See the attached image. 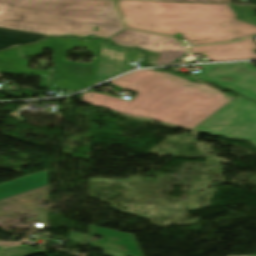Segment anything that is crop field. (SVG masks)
Wrapping results in <instances>:
<instances>
[{
    "label": "crop field",
    "instance_id": "obj_6",
    "mask_svg": "<svg viewBox=\"0 0 256 256\" xmlns=\"http://www.w3.org/2000/svg\"><path fill=\"white\" fill-rule=\"evenodd\" d=\"M224 77L233 78L234 81H223ZM196 78L220 84L256 100V68L248 62L203 66Z\"/></svg>",
    "mask_w": 256,
    "mask_h": 256
},
{
    "label": "crop field",
    "instance_id": "obj_3",
    "mask_svg": "<svg viewBox=\"0 0 256 256\" xmlns=\"http://www.w3.org/2000/svg\"><path fill=\"white\" fill-rule=\"evenodd\" d=\"M99 26V32L93 31ZM0 27L109 38L124 29L111 0H0Z\"/></svg>",
    "mask_w": 256,
    "mask_h": 256
},
{
    "label": "crop field",
    "instance_id": "obj_16",
    "mask_svg": "<svg viewBox=\"0 0 256 256\" xmlns=\"http://www.w3.org/2000/svg\"><path fill=\"white\" fill-rule=\"evenodd\" d=\"M21 245L20 242H0V249L6 248V247H12V246H18Z\"/></svg>",
    "mask_w": 256,
    "mask_h": 256
},
{
    "label": "crop field",
    "instance_id": "obj_9",
    "mask_svg": "<svg viewBox=\"0 0 256 256\" xmlns=\"http://www.w3.org/2000/svg\"><path fill=\"white\" fill-rule=\"evenodd\" d=\"M124 55L123 48L102 45L97 82L121 73Z\"/></svg>",
    "mask_w": 256,
    "mask_h": 256
},
{
    "label": "crop field",
    "instance_id": "obj_12",
    "mask_svg": "<svg viewBox=\"0 0 256 256\" xmlns=\"http://www.w3.org/2000/svg\"><path fill=\"white\" fill-rule=\"evenodd\" d=\"M49 37H53V36L0 28V50L9 48L15 45H25V44L35 43L40 39L49 38Z\"/></svg>",
    "mask_w": 256,
    "mask_h": 256
},
{
    "label": "crop field",
    "instance_id": "obj_8",
    "mask_svg": "<svg viewBox=\"0 0 256 256\" xmlns=\"http://www.w3.org/2000/svg\"><path fill=\"white\" fill-rule=\"evenodd\" d=\"M97 235L101 240L91 242V237ZM89 245L128 256H143L133 235L110 229L89 226Z\"/></svg>",
    "mask_w": 256,
    "mask_h": 256
},
{
    "label": "crop field",
    "instance_id": "obj_2",
    "mask_svg": "<svg viewBox=\"0 0 256 256\" xmlns=\"http://www.w3.org/2000/svg\"><path fill=\"white\" fill-rule=\"evenodd\" d=\"M110 83L137 91L138 95L127 102L87 92L83 94L82 101L190 129L228 102L217 90L168 72L142 70Z\"/></svg>",
    "mask_w": 256,
    "mask_h": 256
},
{
    "label": "crop field",
    "instance_id": "obj_10",
    "mask_svg": "<svg viewBox=\"0 0 256 256\" xmlns=\"http://www.w3.org/2000/svg\"><path fill=\"white\" fill-rule=\"evenodd\" d=\"M46 185L47 171L0 185V201Z\"/></svg>",
    "mask_w": 256,
    "mask_h": 256
},
{
    "label": "crop field",
    "instance_id": "obj_17",
    "mask_svg": "<svg viewBox=\"0 0 256 256\" xmlns=\"http://www.w3.org/2000/svg\"><path fill=\"white\" fill-rule=\"evenodd\" d=\"M47 77H41L40 87H46Z\"/></svg>",
    "mask_w": 256,
    "mask_h": 256
},
{
    "label": "crop field",
    "instance_id": "obj_4",
    "mask_svg": "<svg viewBox=\"0 0 256 256\" xmlns=\"http://www.w3.org/2000/svg\"><path fill=\"white\" fill-rule=\"evenodd\" d=\"M78 46H86L96 57L91 63H78L65 59L66 52ZM20 47V46H19ZM25 57L41 55L43 48L54 50L56 63L54 77L49 86L76 91L96 83L101 44L76 39L53 38L39 43L20 47Z\"/></svg>",
    "mask_w": 256,
    "mask_h": 256
},
{
    "label": "crop field",
    "instance_id": "obj_15",
    "mask_svg": "<svg viewBox=\"0 0 256 256\" xmlns=\"http://www.w3.org/2000/svg\"><path fill=\"white\" fill-rule=\"evenodd\" d=\"M157 1L207 2V3H221V4L230 3V0H157Z\"/></svg>",
    "mask_w": 256,
    "mask_h": 256
},
{
    "label": "crop field",
    "instance_id": "obj_5",
    "mask_svg": "<svg viewBox=\"0 0 256 256\" xmlns=\"http://www.w3.org/2000/svg\"><path fill=\"white\" fill-rule=\"evenodd\" d=\"M196 130L256 145V103L239 96Z\"/></svg>",
    "mask_w": 256,
    "mask_h": 256
},
{
    "label": "crop field",
    "instance_id": "obj_7",
    "mask_svg": "<svg viewBox=\"0 0 256 256\" xmlns=\"http://www.w3.org/2000/svg\"><path fill=\"white\" fill-rule=\"evenodd\" d=\"M126 30V29H125ZM117 45L160 52L155 64H168L187 53L173 38L126 30L112 38Z\"/></svg>",
    "mask_w": 256,
    "mask_h": 256
},
{
    "label": "crop field",
    "instance_id": "obj_13",
    "mask_svg": "<svg viewBox=\"0 0 256 256\" xmlns=\"http://www.w3.org/2000/svg\"><path fill=\"white\" fill-rule=\"evenodd\" d=\"M35 253H40V251H38L28 245L0 250V256H26V255H31V254H35Z\"/></svg>",
    "mask_w": 256,
    "mask_h": 256
},
{
    "label": "crop field",
    "instance_id": "obj_1",
    "mask_svg": "<svg viewBox=\"0 0 256 256\" xmlns=\"http://www.w3.org/2000/svg\"><path fill=\"white\" fill-rule=\"evenodd\" d=\"M128 28L182 36L193 45L230 41L256 34V26L236 20L229 5L115 0ZM237 32L238 34H235ZM196 40V41H193ZM252 39L189 48L212 61L256 58Z\"/></svg>",
    "mask_w": 256,
    "mask_h": 256
},
{
    "label": "crop field",
    "instance_id": "obj_11",
    "mask_svg": "<svg viewBox=\"0 0 256 256\" xmlns=\"http://www.w3.org/2000/svg\"><path fill=\"white\" fill-rule=\"evenodd\" d=\"M0 72L48 76L49 71L41 72L27 68V59L20 56L18 48L0 52Z\"/></svg>",
    "mask_w": 256,
    "mask_h": 256
},
{
    "label": "crop field",
    "instance_id": "obj_14",
    "mask_svg": "<svg viewBox=\"0 0 256 256\" xmlns=\"http://www.w3.org/2000/svg\"><path fill=\"white\" fill-rule=\"evenodd\" d=\"M66 240H67V241H71V242H75V243H79V244L86 245V243H87V241H88V235L70 231L69 237H68ZM81 240H85L86 242L81 241Z\"/></svg>",
    "mask_w": 256,
    "mask_h": 256
}]
</instances>
